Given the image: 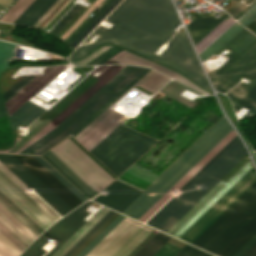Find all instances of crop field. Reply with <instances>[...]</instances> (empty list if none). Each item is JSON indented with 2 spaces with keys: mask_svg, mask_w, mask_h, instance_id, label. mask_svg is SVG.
Segmentation results:
<instances>
[{
  "mask_svg": "<svg viewBox=\"0 0 256 256\" xmlns=\"http://www.w3.org/2000/svg\"><path fill=\"white\" fill-rule=\"evenodd\" d=\"M109 18L120 21L111 31L98 27L102 35L95 43L78 47L68 58H81L96 46L111 43L167 65L211 91L184 32L176 34L160 56L153 54L175 33L178 17L170 0H124Z\"/></svg>",
  "mask_w": 256,
  "mask_h": 256,
  "instance_id": "obj_1",
  "label": "crop field"
},
{
  "mask_svg": "<svg viewBox=\"0 0 256 256\" xmlns=\"http://www.w3.org/2000/svg\"><path fill=\"white\" fill-rule=\"evenodd\" d=\"M247 154L237 135L221 149L193 178H191L179 192L211 185L220 180ZM217 182H214L215 185ZM212 186V185H211ZM213 187V186H212ZM212 187L181 194L177 192L161 210H159L147 224L166 232L180 219L206 192ZM145 222V223H146Z\"/></svg>",
  "mask_w": 256,
  "mask_h": 256,
  "instance_id": "obj_2",
  "label": "crop field"
},
{
  "mask_svg": "<svg viewBox=\"0 0 256 256\" xmlns=\"http://www.w3.org/2000/svg\"><path fill=\"white\" fill-rule=\"evenodd\" d=\"M26 187L0 163V211L34 240L60 218Z\"/></svg>",
  "mask_w": 256,
  "mask_h": 256,
  "instance_id": "obj_3",
  "label": "crop field"
},
{
  "mask_svg": "<svg viewBox=\"0 0 256 256\" xmlns=\"http://www.w3.org/2000/svg\"><path fill=\"white\" fill-rule=\"evenodd\" d=\"M145 68L126 66L61 124L20 153L42 155L62 141Z\"/></svg>",
  "mask_w": 256,
  "mask_h": 256,
  "instance_id": "obj_4",
  "label": "crop field"
},
{
  "mask_svg": "<svg viewBox=\"0 0 256 256\" xmlns=\"http://www.w3.org/2000/svg\"><path fill=\"white\" fill-rule=\"evenodd\" d=\"M105 67L107 66L98 67L91 73V75L95 71L103 70ZM124 67V65L109 66L98 77L100 79L99 81L98 79L90 75L86 77L69 93H67L59 102H57L50 110H48L45 114L38 118L34 122V124L30 126L29 134L27 136H25L23 139H18V137H16V140L18 139L17 145L15 144L16 147L14 145L12 148L0 152H9L11 149L15 147L13 150L10 151L11 153H14L30 138H32L38 131H40L45 125H47L52 119H54L59 113H61L66 107H68L73 101H75L81 94H83L88 88H90L95 82L98 81L15 153H18L21 150H23L25 147H27L28 145L36 141L38 138L49 132L51 129L56 127L59 123H61L67 116H69L75 109H77L83 102H85L91 95H93L98 89H100L106 82H108L114 75H116Z\"/></svg>",
  "mask_w": 256,
  "mask_h": 256,
  "instance_id": "obj_5",
  "label": "crop field"
},
{
  "mask_svg": "<svg viewBox=\"0 0 256 256\" xmlns=\"http://www.w3.org/2000/svg\"><path fill=\"white\" fill-rule=\"evenodd\" d=\"M230 127L231 126L227 122L225 116H223L132 204H130L123 213L136 219Z\"/></svg>",
  "mask_w": 256,
  "mask_h": 256,
  "instance_id": "obj_6",
  "label": "crop field"
},
{
  "mask_svg": "<svg viewBox=\"0 0 256 256\" xmlns=\"http://www.w3.org/2000/svg\"><path fill=\"white\" fill-rule=\"evenodd\" d=\"M156 143L157 141L120 125L89 152L117 176Z\"/></svg>",
  "mask_w": 256,
  "mask_h": 256,
  "instance_id": "obj_7",
  "label": "crop field"
},
{
  "mask_svg": "<svg viewBox=\"0 0 256 256\" xmlns=\"http://www.w3.org/2000/svg\"><path fill=\"white\" fill-rule=\"evenodd\" d=\"M256 214V182L192 244L215 254Z\"/></svg>",
  "mask_w": 256,
  "mask_h": 256,
  "instance_id": "obj_8",
  "label": "crop field"
},
{
  "mask_svg": "<svg viewBox=\"0 0 256 256\" xmlns=\"http://www.w3.org/2000/svg\"><path fill=\"white\" fill-rule=\"evenodd\" d=\"M51 150L55 154H57L67 165H69L97 192H99L101 189H103L114 180L68 139ZM51 150L44 155L49 158L57 167H59L91 197L96 195L95 193L97 192Z\"/></svg>",
  "mask_w": 256,
  "mask_h": 256,
  "instance_id": "obj_9",
  "label": "crop field"
},
{
  "mask_svg": "<svg viewBox=\"0 0 256 256\" xmlns=\"http://www.w3.org/2000/svg\"><path fill=\"white\" fill-rule=\"evenodd\" d=\"M251 80L235 86L226 94L234 109L238 112L242 107L248 110L246 117L256 115V44L223 72L212 83L216 90L224 93L240 81V77Z\"/></svg>",
  "mask_w": 256,
  "mask_h": 256,
  "instance_id": "obj_10",
  "label": "crop field"
},
{
  "mask_svg": "<svg viewBox=\"0 0 256 256\" xmlns=\"http://www.w3.org/2000/svg\"><path fill=\"white\" fill-rule=\"evenodd\" d=\"M141 225L142 223L126 217L87 256H110ZM157 233L158 231L143 224L111 256H134Z\"/></svg>",
  "mask_w": 256,
  "mask_h": 256,
  "instance_id": "obj_11",
  "label": "crop field"
},
{
  "mask_svg": "<svg viewBox=\"0 0 256 256\" xmlns=\"http://www.w3.org/2000/svg\"><path fill=\"white\" fill-rule=\"evenodd\" d=\"M92 203L88 201L76 210L72 211L64 218L55 223L42 236H40L21 256H43L40 252L45 245L51 240L56 244L46 255L51 256L63 243H65L86 221L83 219L89 215L84 210Z\"/></svg>",
  "mask_w": 256,
  "mask_h": 256,
  "instance_id": "obj_12",
  "label": "crop field"
},
{
  "mask_svg": "<svg viewBox=\"0 0 256 256\" xmlns=\"http://www.w3.org/2000/svg\"><path fill=\"white\" fill-rule=\"evenodd\" d=\"M253 167L251 160L243 165L226 182L220 180L206 193L167 233L179 238L192 226L215 202H217L240 178Z\"/></svg>",
  "mask_w": 256,
  "mask_h": 256,
  "instance_id": "obj_13",
  "label": "crop field"
},
{
  "mask_svg": "<svg viewBox=\"0 0 256 256\" xmlns=\"http://www.w3.org/2000/svg\"><path fill=\"white\" fill-rule=\"evenodd\" d=\"M256 181V172L252 168L217 203H215L180 239L191 243L224 210H226L246 189ZM202 234V233H201Z\"/></svg>",
  "mask_w": 256,
  "mask_h": 256,
  "instance_id": "obj_14",
  "label": "crop field"
},
{
  "mask_svg": "<svg viewBox=\"0 0 256 256\" xmlns=\"http://www.w3.org/2000/svg\"><path fill=\"white\" fill-rule=\"evenodd\" d=\"M0 162L61 217L68 211L72 210L12 155L0 154Z\"/></svg>",
  "mask_w": 256,
  "mask_h": 256,
  "instance_id": "obj_15",
  "label": "crop field"
},
{
  "mask_svg": "<svg viewBox=\"0 0 256 256\" xmlns=\"http://www.w3.org/2000/svg\"><path fill=\"white\" fill-rule=\"evenodd\" d=\"M13 156L18 159L26 168H28L36 177H38L46 186H48L72 209L83 203L32 156Z\"/></svg>",
  "mask_w": 256,
  "mask_h": 256,
  "instance_id": "obj_16",
  "label": "crop field"
},
{
  "mask_svg": "<svg viewBox=\"0 0 256 256\" xmlns=\"http://www.w3.org/2000/svg\"><path fill=\"white\" fill-rule=\"evenodd\" d=\"M100 194L103 195L101 198H99L101 195L98 194L92 200L95 201L99 198L96 202L122 212L141 192L115 180Z\"/></svg>",
  "mask_w": 256,
  "mask_h": 256,
  "instance_id": "obj_17",
  "label": "crop field"
},
{
  "mask_svg": "<svg viewBox=\"0 0 256 256\" xmlns=\"http://www.w3.org/2000/svg\"><path fill=\"white\" fill-rule=\"evenodd\" d=\"M233 129L216 144L186 175H184L154 206H152L139 221L145 222L156 210H158L182 185H184L203 165H205L225 144L234 136ZM171 194V195H169ZM169 195V197H167Z\"/></svg>",
  "mask_w": 256,
  "mask_h": 256,
  "instance_id": "obj_18",
  "label": "crop field"
},
{
  "mask_svg": "<svg viewBox=\"0 0 256 256\" xmlns=\"http://www.w3.org/2000/svg\"><path fill=\"white\" fill-rule=\"evenodd\" d=\"M65 66L48 67L45 68V76H37L15 96L5 103L9 115L31 98L37 91H39L45 84H47L53 77H55Z\"/></svg>",
  "mask_w": 256,
  "mask_h": 256,
  "instance_id": "obj_19",
  "label": "crop field"
},
{
  "mask_svg": "<svg viewBox=\"0 0 256 256\" xmlns=\"http://www.w3.org/2000/svg\"><path fill=\"white\" fill-rule=\"evenodd\" d=\"M256 43V36L250 33L245 28L240 31L234 38H232L223 47L227 48L231 52L228 53L231 58L223 64L218 70L208 72L213 81L223 71H225L231 64H233L239 57H241L247 50H249Z\"/></svg>",
  "mask_w": 256,
  "mask_h": 256,
  "instance_id": "obj_20",
  "label": "crop field"
},
{
  "mask_svg": "<svg viewBox=\"0 0 256 256\" xmlns=\"http://www.w3.org/2000/svg\"><path fill=\"white\" fill-rule=\"evenodd\" d=\"M256 233V215L217 253L218 256H232Z\"/></svg>",
  "mask_w": 256,
  "mask_h": 256,
  "instance_id": "obj_21",
  "label": "crop field"
},
{
  "mask_svg": "<svg viewBox=\"0 0 256 256\" xmlns=\"http://www.w3.org/2000/svg\"><path fill=\"white\" fill-rule=\"evenodd\" d=\"M111 63H128V64H137V65H141V66H146L149 67L151 66L152 68L172 77L174 76L175 72L161 66L158 65L152 61H149L147 59H144L140 56H137L135 54L129 53L127 51H120L118 54H116L115 56H113L111 59H109L108 61H106L104 64H111Z\"/></svg>",
  "mask_w": 256,
  "mask_h": 256,
  "instance_id": "obj_22",
  "label": "crop field"
},
{
  "mask_svg": "<svg viewBox=\"0 0 256 256\" xmlns=\"http://www.w3.org/2000/svg\"><path fill=\"white\" fill-rule=\"evenodd\" d=\"M0 231L22 251L33 241L0 212Z\"/></svg>",
  "mask_w": 256,
  "mask_h": 256,
  "instance_id": "obj_23",
  "label": "crop field"
},
{
  "mask_svg": "<svg viewBox=\"0 0 256 256\" xmlns=\"http://www.w3.org/2000/svg\"><path fill=\"white\" fill-rule=\"evenodd\" d=\"M55 1L56 0H35L14 23L32 26Z\"/></svg>",
  "mask_w": 256,
  "mask_h": 256,
  "instance_id": "obj_24",
  "label": "crop field"
},
{
  "mask_svg": "<svg viewBox=\"0 0 256 256\" xmlns=\"http://www.w3.org/2000/svg\"><path fill=\"white\" fill-rule=\"evenodd\" d=\"M228 15L223 14L218 20L211 16L194 19L187 27L194 39L195 44L208 34L215 26H217Z\"/></svg>",
  "mask_w": 256,
  "mask_h": 256,
  "instance_id": "obj_25",
  "label": "crop field"
},
{
  "mask_svg": "<svg viewBox=\"0 0 256 256\" xmlns=\"http://www.w3.org/2000/svg\"><path fill=\"white\" fill-rule=\"evenodd\" d=\"M43 111L44 109L27 101L23 106H21L15 113L10 116L13 129H15L18 125L26 127Z\"/></svg>",
  "mask_w": 256,
  "mask_h": 256,
  "instance_id": "obj_26",
  "label": "crop field"
},
{
  "mask_svg": "<svg viewBox=\"0 0 256 256\" xmlns=\"http://www.w3.org/2000/svg\"><path fill=\"white\" fill-rule=\"evenodd\" d=\"M108 211L109 209L103 207L81 229H79L64 245H62L52 256H62L63 254H65Z\"/></svg>",
  "mask_w": 256,
  "mask_h": 256,
  "instance_id": "obj_27",
  "label": "crop field"
},
{
  "mask_svg": "<svg viewBox=\"0 0 256 256\" xmlns=\"http://www.w3.org/2000/svg\"><path fill=\"white\" fill-rule=\"evenodd\" d=\"M121 117L122 115L113 111L78 142L86 148L89 144H91L97 137H99L105 130H107L113 123H115Z\"/></svg>",
  "mask_w": 256,
  "mask_h": 256,
  "instance_id": "obj_28",
  "label": "crop field"
},
{
  "mask_svg": "<svg viewBox=\"0 0 256 256\" xmlns=\"http://www.w3.org/2000/svg\"><path fill=\"white\" fill-rule=\"evenodd\" d=\"M244 27L234 24L223 35H221L214 43H212L200 56L202 61L208 59L217 50H219L225 43H227L233 36H235Z\"/></svg>",
  "mask_w": 256,
  "mask_h": 256,
  "instance_id": "obj_29",
  "label": "crop field"
},
{
  "mask_svg": "<svg viewBox=\"0 0 256 256\" xmlns=\"http://www.w3.org/2000/svg\"><path fill=\"white\" fill-rule=\"evenodd\" d=\"M185 89L197 94V95H200V93L188 88V87H185L175 81H171L168 85H166L162 90H160V92L174 98L175 100L189 106V107H193L196 103L180 96L179 94L181 92H183Z\"/></svg>",
  "mask_w": 256,
  "mask_h": 256,
  "instance_id": "obj_30",
  "label": "crop field"
},
{
  "mask_svg": "<svg viewBox=\"0 0 256 256\" xmlns=\"http://www.w3.org/2000/svg\"><path fill=\"white\" fill-rule=\"evenodd\" d=\"M150 69H145L135 79H133L126 87H124L118 94H116L109 102H107L101 109H99L93 116H91L84 124H82L76 131L71 135L74 137L84 127H86L92 120H94L100 113H102L108 106H110L115 100H117L123 93H125L131 86H133L139 79H141Z\"/></svg>",
  "mask_w": 256,
  "mask_h": 256,
  "instance_id": "obj_31",
  "label": "crop field"
},
{
  "mask_svg": "<svg viewBox=\"0 0 256 256\" xmlns=\"http://www.w3.org/2000/svg\"><path fill=\"white\" fill-rule=\"evenodd\" d=\"M234 22L236 21H234L232 18L228 16L213 31H211L202 41H200L196 45L198 52L200 53L203 49H205L212 41H214L220 34H222Z\"/></svg>",
  "mask_w": 256,
  "mask_h": 256,
  "instance_id": "obj_32",
  "label": "crop field"
},
{
  "mask_svg": "<svg viewBox=\"0 0 256 256\" xmlns=\"http://www.w3.org/2000/svg\"><path fill=\"white\" fill-rule=\"evenodd\" d=\"M171 237L159 232L135 256H153Z\"/></svg>",
  "mask_w": 256,
  "mask_h": 256,
  "instance_id": "obj_33",
  "label": "crop field"
},
{
  "mask_svg": "<svg viewBox=\"0 0 256 256\" xmlns=\"http://www.w3.org/2000/svg\"><path fill=\"white\" fill-rule=\"evenodd\" d=\"M156 72H154V71H150L149 73H147L141 80H139L136 84L137 85H141V84H143L147 79H149L153 74H155ZM135 84V85H136ZM134 85V86H135ZM133 86V87H134ZM133 87H131L128 91H130ZM127 91V92H128ZM126 92V93H127ZM125 93V94H126ZM125 94H123L120 98H122ZM119 98V99H120ZM118 99V100H119ZM117 100V101H118ZM117 101H115L112 105H114ZM111 105V106H112ZM110 106V107H111ZM110 107H108L102 114H100L94 121H92L86 128H84L78 135H76L74 138L78 141L80 138H82L87 132H89L95 125H97L102 119H104L109 113H111L112 112V110H110L109 108Z\"/></svg>",
  "mask_w": 256,
  "mask_h": 256,
  "instance_id": "obj_34",
  "label": "crop field"
},
{
  "mask_svg": "<svg viewBox=\"0 0 256 256\" xmlns=\"http://www.w3.org/2000/svg\"><path fill=\"white\" fill-rule=\"evenodd\" d=\"M125 216L119 215L109 224L90 244H88L77 256H86L112 229H114Z\"/></svg>",
  "mask_w": 256,
  "mask_h": 256,
  "instance_id": "obj_35",
  "label": "crop field"
},
{
  "mask_svg": "<svg viewBox=\"0 0 256 256\" xmlns=\"http://www.w3.org/2000/svg\"><path fill=\"white\" fill-rule=\"evenodd\" d=\"M83 8L84 6L75 4L69 10V12L56 24L50 33L57 36Z\"/></svg>",
  "mask_w": 256,
  "mask_h": 256,
  "instance_id": "obj_36",
  "label": "crop field"
},
{
  "mask_svg": "<svg viewBox=\"0 0 256 256\" xmlns=\"http://www.w3.org/2000/svg\"><path fill=\"white\" fill-rule=\"evenodd\" d=\"M16 45L0 42V72L8 68L11 57L14 58Z\"/></svg>",
  "mask_w": 256,
  "mask_h": 256,
  "instance_id": "obj_37",
  "label": "crop field"
},
{
  "mask_svg": "<svg viewBox=\"0 0 256 256\" xmlns=\"http://www.w3.org/2000/svg\"><path fill=\"white\" fill-rule=\"evenodd\" d=\"M22 251L0 232V256H18Z\"/></svg>",
  "mask_w": 256,
  "mask_h": 256,
  "instance_id": "obj_38",
  "label": "crop field"
},
{
  "mask_svg": "<svg viewBox=\"0 0 256 256\" xmlns=\"http://www.w3.org/2000/svg\"><path fill=\"white\" fill-rule=\"evenodd\" d=\"M115 211L110 210L96 225H94L65 255L70 256L84 241H86Z\"/></svg>",
  "mask_w": 256,
  "mask_h": 256,
  "instance_id": "obj_39",
  "label": "crop field"
},
{
  "mask_svg": "<svg viewBox=\"0 0 256 256\" xmlns=\"http://www.w3.org/2000/svg\"><path fill=\"white\" fill-rule=\"evenodd\" d=\"M46 169H48L56 178H58L67 188H69L77 197H79L83 202L88 200L83 197V195L77 191L69 182H67L59 173H57L49 164H47L41 157H35Z\"/></svg>",
  "mask_w": 256,
  "mask_h": 256,
  "instance_id": "obj_40",
  "label": "crop field"
},
{
  "mask_svg": "<svg viewBox=\"0 0 256 256\" xmlns=\"http://www.w3.org/2000/svg\"><path fill=\"white\" fill-rule=\"evenodd\" d=\"M34 77H22L13 86H11L6 92L2 94L4 102L9 100L15 93H17L23 86H25Z\"/></svg>",
  "mask_w": 256,
  "mask_h": 256,
  "instance_id": "obj_41",
  "label": "crop field"
},
{
  "mask_svg": "<svg viewBox=\"0 0 256 256\" xmlns=\"http://www.w3.org/2000/svg\"><path fill=\"white\" fill-rule=\"evenodd\" d=\"M114 0L106 1L95 13L94 15L76 32V34L67 42L69 45L88 27V25Z\"/></svg>",
  "mask_w": 256,
  "mask_h": 256,
  "instance_id": "obj_42",
  "label": "crop field"
},
{
  "mask_svg": "<svg viewBox=\"0 0 256 256\" xmlns=\"http://www.w3.org/2000/svg\"><path fill=\"white\" fill-rule=\"evenodd\" d=\"M121 49L116 48V47H111L108 50H106L105 52H103L101 55H99L98 57H96L94 60H92L91 62H89L87 65H93V64H102L104 63L106 60H108L109 58H111L113 55H115L116 53H118Z\"/></svg>",
  "mask_w": 256,
  "mask_h": 256,
  "instance_id": "obj_43",
  "label": "crop field"
},
{
  "mask_svg": "<svg viewBox=\"0 0 256 256\" xmlns=\"http://www.w3.org/2000/svg\"><path fill=\"white\" fill-rule=\"evenodd\" d=\"M175 256H212V255L186 244Z\"/></svg>",
  "mask_w": 256,
  "mask_h": 256,
  "instance_id": "obj_44",
  "label": "crop field"
},
{
  "mask_svg": "<svg viewBox=\"0 0 256 256\" xmlns=\"http://www.w3.org/2000/svg\"><path fill=\"white\" fill-rule=\"evenodd\" d=\"M165 79H166V77L156 73L140 87L151 92L154 88H156Z\"/></svg>",
  "mask_w": 256,
  "mask_h": 256,
  "instance_id": "obj_45",
  "label": "crop field"
},
{
  "mask_svg": "<svg viewBox=\"0 0 256 256\" xmlns=\"http://www.w3.org/2000/svg\"><path fill=\"white\" fill-rule=\"evenodd\" d=\"M110 46H101L99 48H97L95 51H93L91 54H89L88 56H86L85 58L72 62L73 65H85L87 64L89 61H91L92 59H94L96 56H98L99 54H101L103 51H105L106 49H108ZM111 48V47H110Z\"/></svg>",
  "mask_w": 256,
  "mask_h": 256,
  "instance_id": "obj_46",
  "label": "crop field"
},
{
  "mask_svg": "<svg viewBox=\"0 0 256 256\" xmlns=\"http://www.w3.org/2000/svg\"><path fill=\"white\" fill-rule=\"evenodd\" d=\"M180 248L175 247L170 244H166L160 251H158L154 256H174Z\"/></svg>",
  "mask_w": 256,
  "mask_h": 256,
  "instance_id": "obj_47",
  "label": "crop field"
},
{
  "mask_svg": "<svg viewBox=\"0 0 256 256\" xmlns=\"http://www.w3.org/2000/svg\"><path fill=\"white\" fill-rule=\"evenodd\" d=\"M232 127L216 142L218 143L230 130ZM216 143H214L184 174H186ZM184 174H182L152 205H154ZM150 205L138 218L137 220L152 206Z\"/></svg>",
  "mask_w": 256,
  "mask_h": 256,
  "instance_id": "obj_48",
  "label": "crop field"
},
{
  "mask_svg": "<svg viewBox=\"0 0 256 256\" xmlns=\"http://www.w3.org/2000/svg\"><path fill=\"white\" fill-rule=\"evenodd\" d=\"M125 120V118H121L118 120L112 127H110L105 133H103L98 139H96L90 146H88L86 149L89 151L92 147H94L100 140H102L108 133H110L116 126H118L120 123H122ZM92 150V149H91Z\"/></svg>",
  "mask_w": 256,
  "mask_h": 256,
  "instance_id": "obj_49",
  "label": "crop field"
},
{
  "mask_svg": "<svg viewBox=\"0 0 256 256\" xmlns=\"http://www.w3.org/2000/svg\"><path fill=\"white\" fill-rule=\"evenodd\" d=\"M256 243V234L252 237L241 249H239L233 256H242Z\"/></svg>",
  "mask_w": 256,
  "mask_h": 256,
  "instance_id": "obj_50",
  "label": "crop field"
},
{
  "mask_svg": "<svg viewBox=\"0 0 256 256\" xmlns=\"http://www.w3.org/2000/svg\"><path fill=\"white\" fill-rule=\"evenodd\" d=\"M64 0H57L54 5L33 25L38 27Z\"/></svg>",
  "mask_w": 256,
  "mask_h": 256,
  "instance_id": "obj_51",
  "label": "crop field"
},
{
  "mask_svg": "<svg viewBox=\"0 0 256 256\" xmlns=\"http://www.w3.org/2000/svg\"><path fill=\"white\" fill-rule=\"evenodd\" d=\"M256 17V6L250 10L244 17H242L239 20V23L243 24V25H247L250 21H252L254 18ZM244 26V27H245Z\"/></svg>",
  "mask_w": 256,
  "mask_h": 256,
  "instance_id": "obj_52",
  "label": "crop field"
},
{
  "mask_svg": "<svg viewBox=\"0 0 256 256\" xmlns=\"http://www.w3.org/2000/svg\"><path fill=\"white\" fill-rule=\"evenodd\" d=\"M172 78H174V79H176V80H178V81H181V82H183V83H185V84H187V85H189V86H191V87H194V88H196V89H198V90H200V91H202V92H204V93H206V94H210V93H208V92L202 90L201 88L197 87L196 85H194L193 83L189 82L188 80H186L185 78L181 77V76L178 75V74L175 75V76L172 77Z\"/></svg>",
  "mask_w": 256,
  "mask_h": 256,
  "instance_id": "obj_53",
  "label": "crop field"
},
{
  "mask_svg": "<svg viewBox=\"0 0 256 256\" xmlns=\"http://www.w3.org/2000/svg\"><path fill=\"white\" fill-rule=\"evenodd\" d=\"M243 4L237 2L233 7H231L227 12H229L233 17L240 12V8Z\"/></svg>",
  "mask_w": 256,
  "mask_h": 256,
  "instance_id": "obj_54",
  "label": "crop field"
},
{
  "mask_svg": "<svg viewBox=\"0 0 256 256\" xmlns=\"http://www.w3.org/2000/svg\"><path fill=\"white\" fill-rule=\"evenodd\" d=\"M246 27H248L250 30H252L254 33H256V18L252 22H250Z\"/></svg>",
  "mask_w": 256,
  "mask_h": 256,
  "instance_id": "obj_55",
  "label": "crop field"
},
{
  "mask_svg": "<svg viewBox=\"0 0 256 256\" xmlns=\"http://www.w3.org/2000/svg\"><path fill=\"white\" fill-rule=\"evenodd\" d=\"M243 256H256V244Z\"/></svg>",
  "mask_w": 256,
  "mask_h": 256,
  "instance_id": "obj_56",
  "label": "crop field"
},
{
  "mask_svg": "<svg viewBox=\"0 0 256 256\" xmlns=\"http://www.w3.org/2000/svg\"><path fill=\"white\" fill-rule=\"evenodd\" d=\"M22 0H18L11 8L10 10L3 16L0 18V21H2Z\"/></svg>",
  "mask_w": 256,
  "mask_h": 256,
  "instance_id": "obj_57",
  "label": "crop field"
},
{
  "mask_svg": "<svg viewBox=\"0 0 256 256\" xmlns=\"http://www.w3.org/2000/svg\"><path fill=\"white\" fill-rule=\"evenodd\" d=\"M45 159H47L44 155H42ZM48 160V159H47ZM55 168H57L50 160H48ZM58 169V168H57ZM59 170V169H58ZM60 171V170H59ZM64 176H66L62 171H60ZM67 177V176H66ZM68 178V177H67ZM69 179V178H68ZM70 180V179H69ZM71 181V180H70ZM72 182V181H71ZM74 185H76L74 182H72ZM77 186V185H76ZM78 187V186H77ZM79 188V187H78ZM80 189V188H79ZM81 190V189H80ZM82 191V190H81ZM83 192V191H82ZM84 193V192H83ZM86 194V193H84ZM87 195V194H86ZM88 196V195H87ZM89 197V196H88ZM90 198V197H89Z\"/></svg>",
  "mask_w": 256,
  "mask_h": 256,
  "instance_id": "obj_58",
  "label": "crop field"
},
{
  "mask_svg": "<svg viewBox=\"0 0 256 256\" xmlns=\"http://www.w3.org/2000/svg\"><path fill=\"white\" fill-rule=\"evenodd\" d=\"M237 2V0H231L223 9H225L226 11L233 6L235 3Z\"/></svg>",
  "mask_w": 256,
  "mask_h": 256,
  "instance_id": "obj_59",
  "label": "crop field"
},
{
  "mask_svg": "<svg viewBox=\"0 0 256 256\" xmlns=\"http://www.w3.org/2000/svg\"><path fill=\"white\" fill-rule=\"evenodd\" d=\"M255 3H256V1L254 3H252L249 8H251ZM249 8H247L246 10L239 13L237 16L234 17V19H239L243 15V13H245Z\"/></svg>",
  "mask_w": 256,
  "mask_h": 256,
  "instance_id": "obj_60",
  "label": "crop field"
},
{
  "mask_svg": "<svg viewBox=\"0 0 256 256\" xmlns=\"http://www.w3.org/2000/svg\"><path fill=\"white\" fill-rule=\"evenodd\" d=\"M4 115H6V113H5V110L3 108V105H2V102H1V99H0V117H2Z\"/></svg>",
  "mask_w": 256,
  "mask_h": 256,
  "instance_id": "obj_61",
  "label": "crop field"
},
{
  "mask_svg": "<svg viewBox=\"0 0 256 256\" xmlns=\"http://www.w3.org/2000/svg\"><path fill=\"white\" fill-rule=\"evenodd\" d=\"M169 81V79L167 78L164 82H162L156 89H154L152 91V93L156 92L157 90H159L164 84H166Z\"/></svg>",
  "mask_w": 256,
  "mask_h": 256,
  "instance_id": "obj_62",
  "label": "crop field"
},
{
  "mask_svg": "<svg viewBox=\"0 0 256 256\" xmlns=\"http://www.w3.org/2000/svg\"><path fill=\"white\" fill-rule=\"evenodd\" d=\"M5 9V7L0 5V13Z\"/></svg>",
  "mask_w": 256,
  "mask_h": 256,
  "instance_id": "obj_63",
  "label": "crop field"
},
{
  "mask_svg": "<svg viewBox=\"0 0 256 256\" xmlns=\"http://www.w3.org/2000/svg\"><path fill=\"white\" fill-rule=\"evenodd\" d=\"M247 3H251L253 0H245Z\"/></svg>",
  "mask_w": 256,
  "mask_h": 256,
  "instance_id": "obj_64",
  "label": "crop field"
}]
</instances>
